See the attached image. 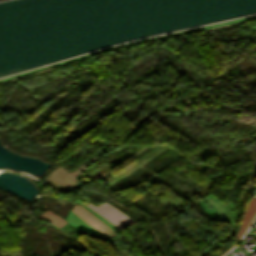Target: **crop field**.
<instances>
[{
	"label": "crop field",
	"mask_w": 256,
	"mask_h": 256,
	"mask_svg": "<svg viewBox=\"0 0 256 256\" xmlns=\"http://www.w3.org/2000/svg\"><path fill=\"white\" fill-rule=\"evenodd\" d=\"M86 206H88L90 209H92L94 212H96L98 215H100L102 218H104L121 232L129 226L137 223L106 202L97 207L91 203Z\"/></svg>",
	"instance_id": "8a807250"
},
{
	"label": "crop field",
	"mask_w": 256,
	"mask_h": 256,
	"mask_svg": "<svg viewBox=\"0 0 256 256\" xmlns=\"http://www.w3.org/2000/svg\"><path fill=\"white\" fill-rule=\"evenodd\" d=\"M256 210V197L252 198V200L250 201V203L248 204L246 211H245V215H244V219L243 222L241 224V227L236 235V238L240 235V233L244 230V228L246 227L249 219L251 218L252 214L254 213V211ZM254 215V214H253ZM251 220V219H250Z\"/></svg>",
	"instance_id": "ac0d7876"
}]
</instances>
